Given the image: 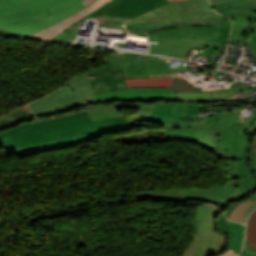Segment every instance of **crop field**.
<instances>
[{"label":"crop field","instance_id":"d32e631a","mask_svg":"<svg viewBox=\"0 0 256 256\" xmlns=\"http://www.w3.org/2000/svg\"><path fill=\"white\" fill-rule=\"evenodd\" d=\"M253 110H255V114H252L249 122L239 132L240 134L242 133L253 134L256 131V109H253Z\"/></svg>","mask_w":256,"mask_h":256},{"label":"crop field","instance_id":"1f2cbd36","mask_svg":"<svg viewBox=\"0 0 256 256\" xmlns=\"http://www.w3.org/2000/svg\"><path fill=\"white\" fill-rule=\"evenodd\" d=\"M256 1V0H255Z\"/></svg>","mask_w":256,"mask_h":256},{"label":"crop field","instance_id":"92a150f3","mask_svg":"<svg viewBox=\"0 0 256 256\" xmlns=\"http://www.w3.org/2000/svg\"><path fill=\"white\" fill-rule=\"evenodd\" d=\"M179 4L185 14L215 13L208 0H182Z\"/></svg>","mask_w":256,"mask_h":256},{"label":"crop field","instance_id":"120bbe31","mask_svg":"<svg viewBox=\"0 0 256 256\" xmlns=\"http://www.w3.org/2000/svg\"><path fill=\"white\" fill-rule=\"evenodd\" d=\"M151 111L138 110L136 114L126 116L127 121H147L150 120Z\"/></svg>","mask_w":256,"mask_h":256},{"label":"crop field","instance_id":"d23c7cc5","mask_svg":"<svg viewBox=\"0 0 256 256\" xmlns=\"http://www.w3.org/2000/svg\"><path fill=\"white\" fill-rule=\"evenodd\" d=\"M173 83H187L184 80H173Z\"/></svg>","mask_w":256,"mask_h":256},{"label":"crop field","instance_id":"b80d0937","mask_svg":"<svg viewBox=\"0 0 256 256\" xmlns=\"http://www.w3.org/2000/svg\"><path fill=\"white\" fill-rule=\"evenodd\" d=\"M234 251L227 250L225 253L218 255V256H238L239 254L233 253Z\"/></svg>","mask_w":256,"mask_h":256},{"label":"crop field","instance_id":"a9b5d70f","mask_svg":"<svg viewBox=\"0 0 256 256\" xmlns=\"http://www.w3.org/2000/svg\"><path fill=\"white\" fill-rule=\"evenodd\" d=\"M128 87H172V78L125 79Z\"/></svg>","mask_w":256,"mask_h":256},{"label":"crop field","instance_id":"c21b1889","mask_svg":"<svg viewBox=\"0 0 256 256\" xmlns=\"http://www.w3.org/2000/svg\"><path fill=\"white\" fill-rule=\"evenodd\" d=\"M170 40H199V41H209V42L216 43L215 41H210V40L190 39V38H174V39H170Z\"/></svg>","mask_w":256,"mask_h":256},{"label":"crop field","instance_id":"d8731c3e","mask_svg":"<svg viewBox=\"0 0 256 256\" xmlns=\"http://www.w3.org/2000/svg\"><path fill=\"white\" fill-rule=\"evenodd\" d=\"M148 55H139L131 53H118L105 57L107 66L90 69L87 74H102L116 71H122L125 78L147 77L144 64L141 57Z\"/></svg>","mask_w":256,"mask_h":256},{"label":"crop field","instance_id":"ac0d7876","mask_svg":"<svg viewBox=\"0 0 256 256\" xmlns=\"http://www.w3.org/2000/svg\"><path fill=\"white\" fill-rule=\"evenodd\" d=\"M238 112L208 114L203 124L163 126L166 139L188 140L211 151L216 160H223V176L227 180L226 160L246 159L251 136L237 134L245 125L235 121ZM221 134V136H218Z\"/></svg>","mask_w":256,"mask_h":256},{"label":"crop field","instance_id":"412701ff","mask_svg":"<svg viewBox=\"0 0 256 256\" xmlns=\"http://www.w3.org/2000/svg\"><path fill=\"white\" fill-rule=\"evenodd\" d=\"M228 183L215 188L182 189V201L198 200L211 202L221 210L228 208L234 200H243L256 191V179L248 168L247 160L227 161Z\"/></svg>","mask_w":256,"mask_h":256},{"label":"crop field","instance_id":"4a817a6b","mask_svg":"<svg viewBox=\"0 0 256 256\" xmlns=\"http://www.w3.org/2000/svg\"><path fill=\"white\" fill-rule=\"evenodd\" d=\"M36 120L27 105L0 118V131L11 128L21 122Z\"/></svg>","mask_w":256,"mask_h":256},{"label":"crop field","instance_id":"5142ce71","mask_svg":"<svg viewBox=\"0 0 256 256\" xmlns=\"http://www.w3.org/2000/svg\"><path fill=\"white\" fill-rule=\"evenodd\" d=\"M88 77L91 81L94 94L127 88L121 72L103 75H92Z\"/></svg>","mask_w":256,"mask_h":256},{"label":"crop field","instance_id":"1d83c4d3","mask_svg":"<svg viewBox=\"0 0 256 256\" xmlns=\"http://www.w3.org/2000/svg\"><path fill=\"white\" fill-rule=\"evenodd\" d=\"M177 192L178 194H169V193L160 194V195L148 194V195H137V197H150L152 199H159V200L180 201V191H177Z\"/></svg>","mask_w":256,"mask_h":256},{"label":"crop field","instance_id":"028f5c9d","mask_svg":"<svg viewBox=\"0 0 256 256\" xmlns=\"http://www.w3.org/2000/svg\"><path fill=\"white\" fill-rule=\"evenodd\" d=\"M173 92H194L189 84H173Z\"/></svg>","mask_w":256,"mask_h":256},{"label":"crop field","instance_id":"f4fd0767","mask_svg":"<svg viewBox=\"0 0 256 256\" xmlns=\"http://www.w3.org/2000/svg\"><path fill=\"white\" fill-rule=\"evenodd\" d=\"M95 103L87 75L83 74L68 81L61 89L29 104L36 117L69 111Z\"/></svg>","mask_w":256,"mask_h":256},{"label":"crop field","instance_id":"214f88e0","mask_svg":"<svg viewBox=\"0 0 256 256\" xmlns=\"http://www.w3.org/2000/svg\"><path fill=\"white\" fill-rule=\"evenodd\" d=\"M248 92H252V91L249 88L243 86V87L220 91V92H206V93H209L210 104L214 103V102H221V101L242 102V103H250L251 104L252 101H249L247 97L235 98V99H230V100H223V98H222V97L234 96V94L248 93Z\"/></svg>","mask_w":256,"mask_h":256},{"label":"crop field","instance_id":"5a996713","mask_svg":"<svg viewBox=\"0 0 256 256\" xmlns=\"http://www.w3.org/2000/svg\"><path fill=\"white\" fill-rule=\"evenodd\" d=\"M134 127H138V126H127L126 124H121V125L100 127V128H97L99 133H96V134H91V135H86V136H81V137H76V138L51 142V143H45L40 145H34V146H29V147H24L19 149L8 150V151H5V155L7 157V156L17 154L19 158H22V157L42 153V152H48V151H53V150L77 145V144L89 141L103 134L118 132V131L130 129Z\"/></svg>","mask_w":256,"mask_h":256},{"label":"crop field","instance_id":"c035e120","mask_svg":"<svg viewBox=\"0 0 256 256\" xmlns=\"http://www.w3.org/2000/svg\"><path fill=\"white\" fill-rule=\"evenodd\" d=\"M239 202H241V201H239ZM239 202H233V203H231L230 208H229L228 210H225V211H224L225 214H226V216H228V214L231 212V210H232Z\"/></svg>","mask_w":256,"mask_h":256},{"label":"crop field","instance_id":"dd49c442","mask_svg":"<svg viewBox=\"0 0 256 256\" xmlns=\"http://www.w3.org/2000/svg\"><path fill=\"white\" fill-rule=\"evenodd\" d=\"M81 0H64L40 14L9 27L1 32L27 36L42 30L83 8ZM51 16V19H48ZM38 23V24H36Z\"/></svg>","mask_w":256,"mask_h":256},{"label":"crop field","instance_id":"89e229c0","mask_svg":"<svg viewBox=\"0 0 256 256\" xmlns=\"http://www.w3.org/2000/svg\"><path fill=\"white\" fill-rule=\"evenodd\" d=\"M253 34H256V28H255V30H254V32H253Z\"/></svg>","mask_w":256,"mask_h":256},{"label":"crop field","instance_id":"733c2abd","mask_svg":"<svg viewBox=\"0 0 256 256\" xmlns=\"http://www.w3.org/2000/svg\"><path fill=\"white\" fill-rule=\"evenodd\" d=\"M217 230L229 234L230 241L227 249L235 250V253H239L242 247L244 225L226 221L225 225L217 224Z\"/></svg>","mask_w":256,"mask_h":256},{"label":"crop field","instance_id":"750c4746","mask_svg":"<svg viewBox=\"0 0 256 256\" xmlns=\"http://www.w3.org/2000/svg\"><path fill=\"white\" fill-rule=\"evenodd\" d=\"M21 7L23 5L18 0H0V17Z\"/></svg>","mask_w":256,"mask_h":256},{"label":"crop field","instance_id":"ae1a2a85","mask_svg":"<svg viewBox=\"0 0 256 256\" xmlns=\"http://www.w3.org/2000/svg\"><path fill=\"white\" fill-rule=\"evenodd\" d=\"M235 8H244V9H252L256 10V2L251 0H237L231 3H227L221 6L214 7V10L216 12H220V10L225 9H235Z\"/></svg>","mask_w":256,"mask_h":256},{"label":"crop field","instance_id":"34b2d1b8","mask_svg":"<svg viewBox=\"0 0 256 256\" xmlns=\"http://www.w3.org/2000/svg\"><path fill=\"white\" fill-rule=\"evenodd\" d=\"M121 123L148 126L139 122H126L125 117L92 121L87 111H84L66 117L19 124L0 132V144L8 150L96 133V127Z\"/></svg>","mask_w":256,"mask_h":256},{"label":"crop field","instance_id":"b54c1fbb","mask_svg":"<svg viewBox=\"0 0 256 256\" xmlns=\"http://www.w3.org/2000/svg\"><path fill=\"white\" fill-rule=\"evenodd\" d=\"M256 35H253V39H252V44L254 46V48L256 49Z\"/></svg>","mask_w":256,"mask_h":256},{"label":"crop field","instance_id":"25e5ab78","mask_svg":"<svg viewBox=\"0 0 256 256\" xmlns=\"http://www.w3.org/2000/svg\"><path fill=\"white\" fill-rule=\"evenodd\" d=\"M249 247L255 248L256 249V244L250 245Z\"/></svg>","mask_w":256,"mask_h":256},{"label":"crop field","instance_id":"cbeb9de0","mask_svg":"<svg viewBox=\"0 0 256 256\" xmlns=\"http://www.w3.org/2000/svg\"><path fill=\"white\" fill-rule=\"evenodd\" d=\"M202 104L189 103L187 114H170L172 109L169 108H153L151 117L167 118L163 124L174 123H201L204 119L198 117L197 113H201Z\"/></svg>","mask_w":256,"mask_h":256},{"label":"crop field","instance_id":"00972430","mask_svg":"<svg viewBox=\"0 0 256 256\" xmlns=\"http://www.w3.org/2000/svg\"><path fill=\"white\" fill-rule=\"evenodd\" d=\"M256 207V200H246L242 203H239L230 213L227 219L245 223L246 218Z\"/></svg>","mask_w":256,"mask_h":256},{"label":"crop field","instance_id":"bd1437ed","mask_svg":"<svg viewBox=\"0 0 256 256\" xmlns=\"http://www.w3.org/2000/svg\"><path fill=\"white\" fill-rule=\"evenodd\" d=\"M246 240L251 243H256V211L252 214L248 223Z\"/></svg>","mask_w":256,"mask_h":256},{"label":"crop field","instance_id":"730fd06b","mask_svg":"<svg viewBox=\"0 0 256 256\" xmlns=\"http://www.w3.org/2000/svg\"><path fill=\"white\" fill-rule=\"evenodd\" d=\"M220 32L215 31H200V30H182V31H173L163 34L151 35L152 37H162V36H179V35H195V36H204L218 39Z\"/></svg>","mask_w":256,"mask_h":256},{"label":"crop field","instance_id":"eef30255","mask_svg":"<svg viewBox=\"0 0 256 256\" xmlns=\"http://www.w3.org/2000/svg\"><path fill=\"white\" fill-rule=\"evenodd\" d=\"M197 207H198V215H197V224H196L194 235L203 236L210 205L205 204V207H201V206H197Z\"/></svg>","mask_w":256,"mask_h":256},{"label":"crop field","instance_id":"dafd665d","mask_svg":"<svg viewBox=\"0 0 256 256\" xmlns=\"http://www.w3.org/2000/svg\"><path fill=\"white\" fill-rule=\"evenodd\" d=\"M148 74L174 73L173 79H183L172 71L158 57L142 58Z\"/></svg>","mask_w":256,"mask_h":256},{"label":"crop field","instance_id":"3316defc","mask_svg":"<svg viewBox=\"0 0 256 256\" xmlns=\"http://www.w3.org/2000/svg\"><path fill=\"white\" fill-rule=\"evenodd\" d=\"M219 212L214 206L210 207L204 237H194L182 256H211L223 249L226 236L213 232V217Z\"/></svg>","mask_w":256,"mask_h":256},{"label":"crop field","instance_id":"0bd39190","mask_svg":"<svg viewBox=\"0 0 256 256\" xmlns=\"http://www.w3.org/2000/svg\"><path fill=\"white\" fill-rule=\"evenodd\" d=\"M225 217H224V214L223 212L218 216V218L216 219L217 223H221V224H224L225 222Z\"/></svg>","mask_w":256,"mask_h":256},{"label":"crop field","instance_id":"425ffa30","mask_svg":"<svg viewBox=\"0 0 256 256\" xmlns=\"http://www.w3.org/2000/svg\"><path fill=\"white\" fill-rule=\"evenodd\" d=\"M245 249H247V250H249V251H252V252L256 253V250H255V249L248 248V247H245Z\"/></svg>","mask_w":256,"mask_h":256},{"label":"crop field","instance_id":"28ad6ade","mask_svg":"<svg viewBox=\"0 0 256 256\" xmlns=\"http://www.w3.org/2000/svg\"><path fill=\"white\" fill-rule=\"evenodd\" d=\"M220 14L235 21L229 43H251L252 32L256 26L255 11L235 9L221 11Z\"/></svg>","mask_w":256,"mask_h":256},{"label":"crop field","instance_id":"e52e79f7","mask_svg":"<svg viewBox=\"0 0 256 256\" xmlns=\"http://www.w3.org/2000/svg\"><path fill=\"white\" fill-rule=\"evenodd\" d=\"M149 41H158V45L150 44L149 53L169 55L174 57H182L186 55L188 50H198L201 51V54L210 56L212 61L210 66H212L216 57L218 56L221 48V44H212L208 42H199V41H170V40H149ZM200 53V52H199ZM214 67V66H213ZM217 68V67H216Z\"/></svg>","mask_w":256,"mask_h":256},{"label":"crop field","instance_id":"d1516ede","mask_svg":"<svg viewBox=\"0 0 256 256\" xmlns=\"http://www.w3.org/2000/svg\"><path fill=\"white\" fill-rule=\"evenodd\" d=\"M25 7L0 18V31L30 18L62 0H19Z\"/></svg>","mask_w":256,"mask_h":256},{"label":"crop field","instance_id":"e1f06a70","mask_svg":"<svg viewBox=\"0 0 256 256\" xmlns=\"http://www.w3.org/2000/svg\"><path fill=\"white\" fill-rule=\"evenodd\" d=\"M230 1H234V0H210L213 7L217 6V5H220V4L230 2Z\"/></svg>","mask_w":256,"mask_h":256},{"label":"crop field","instance_id":"d3111659","mask_svg":"<svg viewBox=\"0 0 256 256\" xmlns=\"http://www.w3.org/2000/svg\"><path fill=\"white\" fill-rule=\"evenodd\" d=\"M200 102L209 104L208 94L178 93L177 102Z\"/></svg>","mask_w":256,"mask_h":256},{"label":"crop field","instance_id":"5d738f31","mask_svg":"<svg viewBox=\"0 0 256 256\" xmlns=\"http://www.w3.org/2000/svg\"><path fill=\"white\" fill-rule=\"evenodd\" d=\"M82 1H83V4L86 6L89 3L93 2L94 0H82Z\"/></svg>","mask_w":256,"mask_h":256},{"label":"crop field","instance_id":"03da06ac","mask_svg":"<svg viewBox=\"0 0 256 256\" xmlns=\"http://www.w3.org/2000/svg\"><path fill=\"white\" fill-rule=\"evenodd\" d=\"M242 256H256V254L249 253V252H243Z\"/></svg>","mask_w":256,"mask_h":256},{"label":"crop field","instance_id":"bc2a9ffb","mask_svg":"<svg viewBox=\"0 0 256 256\" xmlns=\"http://www.w3.org/2000/svg\"><path fill=\"white\" fill-rule=\"evenodd\" d=\"M223 21V27L222 28H213V27H179V28H170L158 32H151L147 33L148 35L150 34H157V33H163V32H168V31H173V30H181V29H200V30H216V31H221L220 38L219 40L216 39H211V38H204V37H194V36H180V37H191V38H202V39H210V40H215L219 42H227L228 37H229V31L231 27V22L228 19H224ZM162 38H174V37H162Z\"/></svg>","mask_w":256,"mask_h":256},{"label":"crop field","instance_id":"d9b57169","mask_svg":"<svg viewBox=\"0 0 256 256\" xmlns=\"http://www.w3.org/2000/svg\"><path fill=\"white\" fill-rule=\"evenodd\" d=\"M119 109L120 108H109V103L108 104H92V105H88L86 107L79 108L70 112L50 114V115H45L39 118L41 120H45V119H50V118H55L60 116H66L75 112L87 110L92 120H95V119H101V118L123 116L117 112Z\"/></svg>","mask_w":256,"mask_h":256},{"label":"crop field","instance_id":"22f410ed","mask_svg":"<svg viewBox=\"0 0 256 256\" xmlns=\"http://www.w3.org/2000/svg\"><path fill=\"white\" fill-rule=\"evenodd\" d=\"M109 0H96L90 5L86 6L79 12L75 13L74 15L38 32L35 34H31L27 37L29 38H37V39H45L50 40L55 35H57L62 30L66 29L68 26L74 24L76 21L84 17L85 15L89 14L90 12L94 11L95 9L99 8L100 6L104 5Z\"/></svg>","mask_w":256,"mask_h":256},{"label":"crop field","instance_id":"4177f3b9","mask_svg":"<svg viewBox=\"0 0 256 256\" xmlns=\"http://www.w3.org/2000/svg\"><path fill=\"white\" fill-rule=\"evenodd\" d=\"M250 104L242 103H230V102H221L211 105L204 104L202 107L203 112H229L234 110H242L249 106Z\"/></svg>","mask_w":256,"mask_h":256},{"label":"crop field","instance_id":"8a807250","mask_svg":"<svg viewBox=\"0 0 256 256\" xmlns=\"http://www.w3.org/2000/svg\"><path fill=\"white\" fill-rule=\"evenodd\" d=\"M87 17L100 19L98 29H121L124 33L125 23L128 32L144 37V29L151 32L178 26L221 27V19H224L218 14L185 15L178 2L170 3L168 0H111L51 40L73 43L79 25Z\"/></svg>","mask_w":256,"mask_h":256},{"label":"crop field","instance_id":"5866460e","mask_svg":"<svg viewBox=\"0 0 256 256\" xmlns=\"http://www.w3.org/2000/svg\"><path fill=\"white\" fill-rule=\"evenodd\" d=\"M249 159L251 161L250 167H251V169L254 170L255 176H256V136L253 139V151H252ZM249 199H251L252 201L255 200L256 199V195L252 196Z\"/></svg>","mask_w":256,"mask_h":256},{"label":"crop field","instance_id":"73cf0c24","mask_svg":"<svg viewBox=\"0 0 256 256\" xmlns=\"http://www.w3.org/2000/svg\"><path fill=\"white\" fill-rule=\"evenodd\" d=\"M170 2H173V1H179V0H169Z\"/></svg>","mask_w":256,"mask_h":256}]
</instances>
